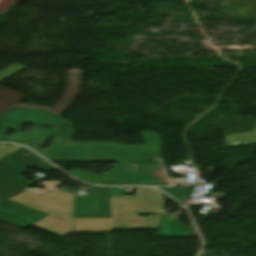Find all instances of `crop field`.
Listing matches in <instances>:
<instances>
[{
  "mask_svg": "<svg viewBox=\"0 0 256 256\" xmlns=\"http://www.w3.org/2000/svg\"><path fill=\"white\" fill-rule=\"evenodd\" d=\"M32 227L44 230L46 232H49L61 237L71 233L70 222L54 217L52 215L46 217L45 219L33 225Z\"/></svg>",
  "mask_w": 256,
  "mask_h": 256,
  "instance_id": "8",
  "label": "crop field"
},
{
  "mask_svg": "<svg viewBox=\"0 0 256 256\" xmlns=\"http://www.w3.org/2000/svg\"><path fill=\"white\" fill-rule=\"evenodd\" d=\"M27 68L24 65L15 63L0 71V81L9 77L10 75L19 72ZM81 92V79H80V69H69L67 70V84L66 91L58 103L50 107L43 106H33L28 104H18L19 101L24 99L25 95L9 90L7 88L0 86V114L8 110L10 106H18L29 109L47 110L58 116L71 104V102L80 94Z\"/></svg>",
  "mask_w": 256,
  "mask_h": 256,
  "instance_id": "2",
  "label": "crop field"
},
{
  "mask_svg": "<svg viewBox=\"0 0 256 256\" xmlns=\"http://www.w3.org/2000/svg\"><path fill=\"white\" fill-rule=\"evenodd\" d=\"M226 145H238L256 142V125L251 132L230 134L225 137Z\"/></svg>",
  "mask_w": 256,
  "mask_h": 256,
  "instance_id": "10",
  "label": "crop field"
},
{
  "mask_svg": "<svg viewBox=\"0 0 256 256\" xmlns=\"http://www.w3.org/2000/svg\"><path fill=\"white\" fill-rule=\"evenodd\" d=\"M73 217H110L107 187H93V195L75 196Z\"/></svg>",
  "mask_w": 256,
  "mask_h": 256,
  "instance_id": "5",
  "label": "crop field"
},
{
  "mask_svg": "<svg viewBox=\"0 0 256 256\" xmlns=\"http://www.w3.org/2000/svg\"><path fill=\"white\" fill-rule=\"evenodd\" d=\"M171 181H182V182H184L185 181V179H170Z\"/></svg>",
  "mask_w": 256,
  "mask_h": 256,
  "instance_id": "14",
  "label": "crop field"
},
{
  "mask_svg": "<svg viewBox=\"0 0 256 256\" xmlns=\"http://www.w3.org/2000/svg\"><path fill=\"white\" fill-rule=\"evenodd\" d=\"M162 196L110 197L111 212H161Z\"/></svg>",
  "mask_w": 256,
  "mask_h": 256,
  "instance_id": "6",
  "label": "crop field"
},
{
  "mask_svg": "<svg viewBox=\"0 0 256 256\" xmlns=\"http://www.w3.org/2000/svg\"><path fill=\"white\" fill-rule=\"evenodd\" d=\"M6 145L8 144H0V158L22 148L21 146H18V145H13L9 148L5 147Z\"/></svg>",
  "mask_w": 256,
  "mask_h": 256,
  "instance_id": "11",
  "label": "crop field"
},
{
  "mask_svg": "<svg viewBox=\"0 0 256 256\" xmlns=\"http://www.w3.org/2000/svg\"><path fill=\"white\" fill-rule=\"evenodd\" d=\"M110 196H125L124 187H108Z\"/></svg>",
  "mask_w": 256,
  "mask_h": 256,
  "instance_id": "13",
  "label": "crop field"
},
{
  "mask_svg": "<svg viewBox=\"0 0 256 256\" xmlns=\"http://www.w3.org/2000/svg\"><path fill=\"white\" fill-rule=\"evenodd\" d=\"M47 215L48 214L10 200L0 204V219L23 227H26Z\"/></svg>",
  "mask_w": 256,
  "mask_h": 256,
  "instance_id": "7",
  "label": "crop field"
},
{
  "mask_svg": "<svg viewBox=\"0 0 256 256\" xmlns=\"http://www.w3.org/2000/svg\"><path fill=\"white\" fill-rule=\"evenodd\" d=\"M10 200L72 222L74 194L55 189L43 196L24 192Z\"/></svg>",
  "mask_w": 256,
  "mask_h": 256,
  "instance_id": "4",
  "label": "crop field"
},
{
  "mask_svg": "<svg viewBox=\"0 0 256 256\" xmlns=\"http://www.w3.org/2000/svg\"><path fill=\"white\" fill-rule=\"evenodd\" d=\"M137 195H162L160 191L150 188L137 187Z\"/></svg>",
  "mask_w": 256,
  "mask_h": 256,
  "instance_id": "12",
  "label": "crop field"
},
{
  "mask_svg": "<svg viewBox=\"0 0 256 256\" xmlns=\"http://www.w3.org/2000/svg\"><path fill=\"white\" fill-rule=\"evenodd\" d=\"M157 236H193L179 222L177 215L161 216Z\"/></svg>",
  "mask_w": 256,
  "mask_h": 256,
  "instance_id": "9",
  "label": "crop field"
},
{
  "mask_svg": "<svg viewBox=\"0 0 256 256\" xmlns=\"http://www.w3.org/2000/svg\"><path fill=\"white\" fill-rule=\"evenodd\" d=\"M160 215L140 217L135 213H111L110 218H73L72 232H111L112 229L158 228Z\"/></svg>",
  "mask_w": 256,
  "mask_h": 256,
  "instance_id": "3",
  "label": "crop field"
},
{
  "mask_svg": "<svg viewBox=\"0 0 256 256\" xmlns=\"http://www.w3.org/2000/svg\"><path fill=\"white\" fill-rule=\"evenodd\" d=\"M38 163L45 165L46 167L38 166ZM25 168H39L42 170H52L55 169L53 166L48 164L46 161L38 157L33 152L26 150L24 148L0 159V203L8 200L9 198L25 191H31L38 194H44L47 191H36L28 189L30 185L17 175L28 172ZM58 183L56 186L64 183L65 181H45ZM44 183V182H43ZM47 189H54L56 186L43 185ZM50 191V190H49Z\"/></svg>",
  "mask_w": 256,
  "mask_h": 256,
  "instance_id": "1",
  "label": "crop field"
}]
</instances>
